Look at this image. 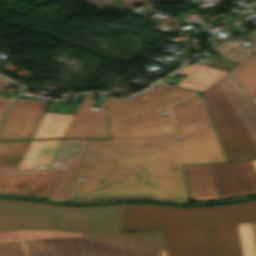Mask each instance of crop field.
Wrapping results in <instances>:
<instances>
[{"mask_svg":"<svg viewBox=\"0 0 256 256\" xmlns=\"http://www.w3.org/2000/svg\"><path fill=\"white\" fill-rule=\"evenodd\" d=\"M127 205L0 199V256H99L93 235L105 233L114 256H167L162 230L121 233Z\"/></svg>","mask_w":256,"mask_h":256,"instance_id":"obj_1","label":"crop field"},{"mask_svg":"<svg viewBox=\"0 0 256 256\" xmlns=\"http://www.w3.org/2000/svg\"><path fill=\"white\" fill-rule=\"evenodd\" d=\"M98 107L108 108L111 138L155 137L156 200L189 201L182 165L226 161L199 95L172 107L142 94L111 96Z\"/></svg>","mask_w":256,"mask_h":256,"instance_id":"obj_2","label":"crop field"},{"mask_svg":"<svg viewBox=\"0 0 256 256\" xmlns=\"http://www.w3.org/2000/svg\"><path fill=\"white\" fill-rule=\"evenodd\" d=\"M256 221V201L171 207L129 204L122 232L163 229L168 256H242L236 223Z\"/></svg>","mask_w":256,"mask_h":256,"instance_id":"obj_3","label":"crop field"},{"mask_svg":"<svg viewBox=\"0 0 256 256\" xmlns=\"http://www.w3.org/2000/svg\"><path fill=\"white\" fill-rule=\"evenodd\" d=\"M132 199L155 200L154 138L91 139L65 201Z\"/></svg>","mask_w":256,"mask_h":256,"instance_id":"obj_4","label":"crop field"},{"mask_svg":"<svg viewBox=\"0 0 256 256\" xmlns=\"http://www.w3.org/2000/svg\"><path fill=\"white\" fill-rule=\"evenodd\" d=\"M29 143L0 142V194L47 199L61 170H16Z\"/></svg>","mask_w":256,"mask_h":256,"instance_id":"obj_5","label":"crop field"},{"mask_svg":"<svg viewBox=\"0 0 256 256\" xmlns=\"http://www.w3.org/2000/svg\"><path fill=\"white\" fill-rule=\"evenodd\" d=\"M202 94L227 161L256 160L255 145L215 85H211Z\"/></svg>","mask_w":256,"mask_h":256,"instance_id":"obj_6","label":"crop field"},{"mask_svg":"<svg viewBox=\"0 0 256 256\" xmlns=\"http://www.w3.org/2000/svg\"><path fill=\"white\" fill-rule=\"evenodd\" d=\"M74 115L45 113L18 169H47Z\"/></svg>","mask_w":256,"mask_h":256,"instance_id":"obj_7","label":"crop field"},{"mask_svg":"<svg viewBox=\"0 0 256 256\" xmlns=\"http://www.w3.org/2000/svg\"><path fill=\"white\" fill-rule=\"evenodd\" d=\"M209 165L220 199L256 195V172L251 161Z\"/></svg>","mask_w":256,"mask_h":256,"instance_id":"obj_8","label":"crop field"},{"mask_svg":"<svg viewBox=\"0 0 256 256\" xmlns=\"http://www.w3.org/2000/svg\"><path fill=\"white\" fill-rule=\"evenodd\" d=\"M48 102L15 98L0 126V140L31 139Z\"/></svg>","mask_w":256,"mask_h":256,"instance_id":"obj_9","label":"crop field"},{"mask_svg":"<svg viewBox=\"0 0 256 256\" xmlns=\"http://www.w3.org/2000/svg\"><path fill=\"white\" fill-rule=\"evenodd\" d=\"M90 140L63 139L49 169H63L49 199L64 201Z\"/></svg>","mask_w":256,"mask_h":256,"instance_id":"obj_10","label":"crop field"},{"mask_svg":"<svg viewBox=\"0 0 256 256\" xmlns=\"http://www.w3.org/2000/svg\"><path fill=\"white\" fill-rule=\"evenodd\" d=\"M93 94H85L64 138L110 137L107 109L90 110Z\"/></svg>","mask_w":256,"mask_h":256,"instance_id":"obj_11","label":"crop field"},{"mask_svg":"<svg viewBox=\"0 0 256 256\" xmlns=\"http://www.w3.org/2000/svg\"><path fill=\"white\" fill-rule=\"evenodd\" d=\"M231 104L256 145V104L228 72L214 83Z\"/></svg>","mask_w":256,"mask_h":256,"instance_id":"obj_12","label":"crop field"},{"mask_svg":"<svg viewBox=\"0 0 256 256\" xmlns=\"http://www.w3.org/2000/svg\"><path fill=\"white\" fill-rule=\"evenodd\" d=\"M183 168L190 201L219 200L208 164Z\"/></svg>","mask_w":256,"mask_h":256,"instance_id":"obj_13","label":"crop field"},{"mask_svg":"<svg viewBox=\"0 0 256 256\" xmlns=\"http://www.w3.org/2000/svg\"><path fill=\"white\" fill-rule=\"evenodd\" d=\"M142 94L172 106L188 100L196 95L197 92L157 83L151 86L150 90H146Z\"/></svg>","mask_w":256,"mask_h":256,"instance_id":"obj_14","label":"crop field"},{"mask_svg":"<svg viewBox=\"0 0 256 256\" xmlns=\"http://www.w3.org/2000/svg\"><path fill=\"white\" fill-rule=\"evenodd\" d=\"M240 86L247 92V94L253 99H256V72L255 70L244 60L233 69L229 71Z\"/></svg>","mask_w":256,"mask_h":256,"instance_id":"obj_15","label":"crop field"},{"mask_svg":"<svg viewBox=\"0 0 256 256\" xmlns=\"http://www.w3.org/2000/svg\"><path fill=\"white\" fill-rule=\"evenodd\" d=\"M177 73L184 75H190L199 79H203L209 82L214 83L217 79L223 76L226 72L219 71L207 66L200 64H195L191 66H185L182 69L178 70Z\"/></svg>","mask_w":256,"mask_h":256,"instance_id":"obj_16","label":"crop field"},{"mask_svg":"<svg viewBox=\"0 0 256 256\" xmlns=\"http://www.w3.org/2000/svg\"><path fill=\"white\" fill-rule=\"evenodd\" d=\"M243 256H256V244L251 222L237 224Z\"/></svg>","mask_w":256,"mask_h":256,"instance_id":"obj_17","label":"crop field"},{"mask_svg":"<svg viewBox=\"0 0 256 256\" xmlns=\"http://www.w3.org/2000/svg\"><path fill=\"white\" fill-rule=\"evenodd\" d=\"M210 50L237 63L244 60L247 56L253 54L252 52L240 49L224 42L217 44L216 47Z\"/></svg>","mask_w":256,"mask_h":256,"instance_id":"obj_18","label":"crop field"},{"mask_svg":"<svg viewBox=\"0 0 256 256\" xmlns=\"http://www.w3.org/2000/svg\"><path fill=\"white\" fill-rule=\"evenodd\" d=\"M100 256H113L109 234L94 236Z\"/></svg>","mask_w":256,"mask_h":256,"instance_id":"obj_19","label":"crop field"},{"mask_svg":"<svg viewBox=\"0 0 256 256\" xmlns=\"http://www.w3.org/2000/svg\"><path fill=\"white\" fill-rule=\"evenodd\" d=\"M212 83L199 80L190 76H186L182 81L178 82L176 85L198 90V91H203L207 87H209Z\"/></svg>","mask_w":256,"mask_h":256,"instance_id":"obj_20","label":"crop field"},{"mask_svg":"<svg viewBox=\"0 0 256 256\" xmlns=\"http://www.w3.org/2000/svg\"><path fill=\"white\" fill-rule=\"evenodd\" d=\"M10 83H12V82L0 77V90L3 89L5 86H7ZM10 101H11L10 99L0 97V122L8 108Z\"/></svg>","mask_w":256,"mask_h":256,"instance_id":"obj_21","label":"crop field"},{"mask_svg":"<svg viewBox=\"0 0 256 256\" xmlns=\"http://www.w3.org/2000/svg\"><path fill=\"white\" fill-rule=\"evenodd\" d=\"M246 36L251 39L253 51L256 52V30ZM245 60L256 70V55H252Z\"/></svg>","mask_w":256,"mask_h":256,"instance_id":"obj_22","label":"crop field"},{"mask_svg":"<svg viewBox=\"0 0 256 256\" xmlns=\"http://www.w3.org/2000/svg\"><path fill=\"white\" fill-rule=\"evenodd\" d=\"M253 224V229H254V234H255V239H256V222H252Z\"/></svg>","mask_w":256,"mask_h":256,"instance_id":"obj_23","label":"crop field"},{"mask_svg":"<svg viewBox=\"0 0 256 256\" xmlns=\"http://www.w3.org/2000/svg\"><path fill=\"white\" fill-rule=\"evenodd\" d=\"M252 163H253V165H254V167L256 169V161H252Z\"/></svg>","mask_w":256,"mask_h":256,"instance_id":"obj_24","label":"crop field"}]
</instances>
